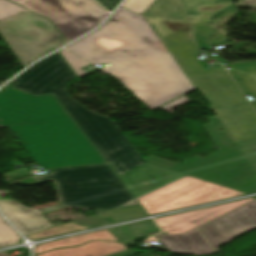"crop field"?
<instances>
[{
	"instance_id": "25",
	"label": "crop field",
	"mask_w": 256,
	"mask_h": 256,
	"mask_svg": "<svg viewBox=\"0 0 256 256\" xmlns=\"http://www.w3.org/2000/svg\"><path fill=\"white\" fill-rule=\"evenodd\" d=\"M240 5L256 8V0H241Z\"/></svg>"
},
{
	"instance_id": "14",
	"label": "crop field",
	"mask_w": 256,
	"mask_h": 256,
	"mask_svg": "<svg viewBox=\"0 0 256 256\" xmlns=\"http://www.w3.org/2000/svg\"><path fill=\"white\" fill-rule=\"evenodd\" d=\"M123 249L126 247L121 243L94 241L75 248L48 251L37 256H103Z\"/></svg>"
},
{
	"instance_id": "18",
	"label": "crop field",
	"mask_w": 256,
	"mask_h": 256,
	"mask_svg": "<svg viewBox=\"0 0 256 256\" xmlns=\"http://www.w3.org/2000/svg\"><path fill=\"white\" fill-rule=\"evenodd\" d=\"M87 228L88 227L77 226L74 224V222H72V223H68L60 226H52L50 228L34 233L27 237L30 239H39L43 237L56 236V235H60V234H64L72 231L87 229Z\"/></svg>"
},
{
	"instance_id": "11",
	"label": "crop field",
	"mask_w": 256,
	"mask_h": 256,
	"mask_svg": "<svg viewBox=\"0 0 256 256\" xmlns=\"http://www.w3.org/2000/svg\"><path fill=\"white\" fill-rule=\"evenodd\" d=\"M194 27L195 41L200 49L212 47L208 41L209 23L218 14L233 7L231 0H181Z\"/></svg>"
},
{
	"instance_id": "15",
	"label": "crop field",
	"mask_w": 256,
	"mask_h": 256,
	"mask_svg": "<svg viewBox=\"0 0 256 256\" xmlns=\"http://www.w3.org/2000/svg\"><path fill=\"white\" fill-rule=\"evenodd\" d=\"M93 239L117 240L107 230H104V231H98V232H94V233H89V234H85V235H80V236H76V237H71V238H67V239H62V240H58V241H53V242L37 245L35 247V253H41L47 249H53V248H57V247L80 245L88 240H93Z\"/></svg>"
},
{
	"instance_id": "19",
	"label": "crop field",
	"mask_w": 256,
	"mask_h": 256,
	"mask_svg": "<svg viewBox=\"0 0 256 256\" xmlns=\"http://www.w3.org/2000/svg\"><path fill=\"white\" fill-rule=\"evenodd\" d=\"M4 219V218H3ZM0 216V245L2 247L19 243L20 235L11 228Z\"/></svg>"
},
{
	"instance_id": "26",
	"label": "crop field",
	"mask_w": 256,
	"mask_h": 256,
	"mask_svg": "<svg viewBox=\"0 0 256 256\" xmlns=\"http://www.w3.org/2000/svg\"><path fill=\"white\" fill-rule=\"evenodd\" d=\"M0 256H8L6 252L0 253Z\"/></svg>"
},
{
	"instance_id": "20",
	"label": "crop field",
	"mask_w": 256,
	"mask_h": 256,
	"mask_svg": "<svg viewBox=\"0 0 256 256\" xmlns=\"http://www.w3.org/2000/svg\"><path fill=\"white\" fill-rule=\"evenodd\" d=\"M59 52L62 54V56L65 58V60L68 62V64L71 66V68L74 70V72L77 74L79 78L88 74L81 68L90 65L89 63H87L86 61L82 60L81 58L75 56L74 54L70 53L65 49Z\"/></svg>"
},
{
	"instance_id": "1",
	"label": "crop field",
	"mask_w": 256,
	"mask_h": 256,
	"mask_svg": "<svg viewBox=\"0 0 256 256\" xmlns=\"http://www.w3.org/2000/svg\"><path fill=\"white\" fill-rule=\"evenodd\" d=\"M132 91L151 111L196 89L143 15L120 7L97 31L66 47Z\"/></svg>"
},
{
	"instance_id": "27",
	"label": "crop field",
	"mask_w": 256,
	"mask_h": 256,
	"mask_svg": "<svg viewBox=\"0 0 256 256\" xmlns=\"http://www.w3.org/2000/svg\"><path fill=\"white\" fill-rule=\"evenodd\" d=\"M1 247V246H0Z\"/></svg>"
},
{
	"instance_id": "5",
	"label": "crop field",
	"mask_w": 256,
	"mask_h": 256,
	"mask_svg": "<svg viewBox=\"0 0 256 256\" xmlns=\"http://www.w3.org/2000/svg\"><path fill=\"white\" fill-rule=\"evenodd\" d=\"M208 120L211 124L205 125L204 128L220 151L204 159L195 156L181 164L154 156L143 159L148 163L236 190L255 192L256 170L217 116L209 117Z\"/></svg>"
},
{
	"instance_id": "6",
	"label": "crop field",
	"mask_w": 256,
	"mask_h": 256,
	"mask_svg": "<svg viewBox=\"0 0 256 256\" xmlns=\"http://www.w3.org/2000/svg\"><path fill=\"white\" fill-rule=\"evenodd\" d=\"M253 228H256V200L185 234L158 237L170 253L200 256L220 252L219 246Z\"/></svg>"
},
{
	"instance_id": "8",
	"label": "crop field",
	"mask_w": 256,
	"mask_h": 256,
	"mask_svg": "<svg viewBox=\"0 0 256 256\" xmlns=\"http://www.w3.org/2000/svg\"><path fill=\"white\" fill-rule=\"evenodd\" d=\"M53 21L69 41L95 28L108 13L94 0H12Z\"/></svg>"
},
{
	"instance_id": "2",
	"label": "crop field",
	"mask_w": 256,
	"mask_h": 256,
	"mask_svg": "<svg viewBox=\"0 0 256 256\" xmlns=\"http://www.w3.org/2000/svg\"><path fill=\"white\" fill-rule=\"evenodd\" d=\"M74 77L57 52L31 66L9 85L35 95L54 93L136 199L186 176L146 163L110 118L73 100L66 87Z\"/></svg>"
},
{
	"instance_id": "16",
	"label": "crop field",
	"mask_w": 256,
	"mask_h": 256,
	"mask_svg": "<svg viewBox=\"0 0 256 256\" xmlns=\"http://www.w3.org/2000/svg\"><path fill=\"white\" fill-rule=\"evenodd\" d=\"M238 13V8L234 7L220 15L214 22L210 23V43L212 46L227 43L226 24Z\"/></svg>"
},
{
	"instance_id": "9",
	"label": "crop field",
	"mask_w": 256,
	"mask_h": 256,
	"mask_svg": "<svg viewBox=\"0 0 256 256\" xmlns=\"http://www.w3.org/2000/svg\"><path fill=\"white\" fill-rule=\"evenodd\" d=\"M246 194L187 176L138 199L149 215Z\"/></svg>"
},
{
	"instance_id": "12",
	"label": "crop field",
	"mask_w": 256,
	"mask_h": 256,
	"mask_svg": "<svg viewBox=\"0 0 256 256\" xmlns=\"http://www.w3.org/2000/svg\"><path fill=\"white\" fill-rule=\"evenodd\" d=\"M256 198L213 206L155 219L168 234L185 233L209 220L247 204Z\"/></svg>"
},
{
	"instance_id": "22",
	"label": "crop field",
	"mask_w": 256,
	"mask_h": 256,
	"mask_svg": "<svg viewBox=\"0 0 256 256\" xmlns=\"http://www.w3.org/2000/svg\"><path fill=\"white\" fill-rule=\"evenodd\" d=\"M22 10L24 9L6 0H0V20Z\"/></svg>"
},
{
	"instance_id": "13",
	"label": "crop field",
	"mask_w": 256,
	"mask_h": 256,
	"mask_svg": "<svg viewBox=\"0 0 256 256\" xmlns=\"http://www.w3.org/2000/svg\"><path fill=\"white\" fill-rule=\"evenodd\" d=\"M0 209L25 236L52 226L38 210L29 209L15 201L0 200Z\"/></svg>"
},
{
	"instance_id": "21",
	"label": "crop field",
	"mask_w": 256,
	"mask_h": 256,
	"mask_svg": "<svg viewBox=\"0 0 256 256\" xmlns=\"http://www.w3.org/2000/svg\"><path fill=\"white\" fill-rule=\"evenodd\" d=\"M123 228L127 232V234L131 237L142 234V233L145 234L148 232L158 230L151 220L123 226Z\"/></svg>"
},
{
	"instance_id": "4",
	"label": "crop field",
	"mask_w": 256,
	"mask_h": 256,
	"mask_svg": "<svg viewBox=\"0 0 256 256\" xmlns=\"http://www.w3.org/2000/svg\"><path fill=\"white\" fill-rule=\"evenodd\" d=\"M50 181L57 187L60 203L93 210L98 215L134 199L107 164L51 169V174L14 183L33 185Z\"/></svg>"
},
{
	"instance_id": "24",
	"label": "crop field",
	"mask_w": 256,
	"mask_h": 256,
	"mask_svg": "<svg viewBox=\"0 0 256 256\" xmlns=\"http://www.w3.org/2000/svg\"><path fill=\"white\" fill-rule=\"evenodd\" d=\"M107 10L112 11L121 0H97Z\"/></svg>"
},
{
	"instance_id": "7",
	"label": "crop field",
	"mask_w": 256,
	"mask_h": 256,
	"mask_svg": "<svg viewBox=\"0 0 256 256\" xmlns=\"http://www.w3.org/2000/svg\"><path fill=\"white\" fill-rule=\"evenodd\" d=\"M0 34L23 67L66 44L48 20L26 10L1 20Z\"/></svg>"
},
{
	"instance_id": "17",
	"label": "crop field",
	"mask_w": 256,
	"mask_h": 256,
	"mask_svg": "<svg viewBox=\"0 0 256 256\" xmlns=\"http://www.w3.org/2000/svg\"><path fill=\"white\" fill-rule=\"evenodd\" d=\"M147 214L143 211V209L138 205L136 199L119 206L118 208H114L102 215L103 218L110 216L115 220V222L132 219L136 217L146 216Z\"/></svg>"
},
{
	"instance_id": "10",
	"label": "crop field",
	"mask_w": 256,
	"mask_h": 256,
	"mask_svg": "<svg viewBox=\"0 0 256 256\" xmlns=\"http://www.w3.org/2000/svg\"><path fill=\"white\" fill-rule=\"evenodd\" d=\"M43 123L24 92L5 86L0 89V127Z\"/></svg>"
},
{
	"instance_id": "3",
	"label": "crop field",
	"mask_w": 256,
	"mask_h": 256,
	"mask_svg": "<svg viewBox=\"0 0 256 256\" xmlns=\"http://www.w3.org/2000/svg\"><path fill=\"white\" fill-rule=\"evenodd\" d=\"M25 94L45 124L10 130L34 162L44 168L105 163L53 95Z\"/></svg>"
},
{
	"instance_id": "23",
	"label": "crop field",
	"mask_w": 256,
	"mask_h": 256,
	"mask_svg": "<svg viewBox=\"0 0 256 256\" xmlns=\"http://www.w3.org/2000/svg\"><path fill=\"white\" fill-rule=\"evenodd\" d=\"M189 101H191V100L185 96V97H183V98H181V99H179V100H177V101H175V102H173V103H171V104H169V105H167V106H165L161 109L173 114V109H174L175 106L188 103Z\"/></svg>"
}]
</instances>
